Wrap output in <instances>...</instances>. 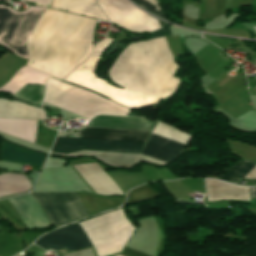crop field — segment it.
<instances>
[{
  "label": "crop field",
  "mask_w": 256,
  "mask_h": 256,
  "mask_svg": "<svg viewBox=\"0 0 256 256\" xmlns=\"http://www.w3.org/2000/svg\"><path fill=\"white\" fill-rule=\"evenodd\" d=\"M44 9L30 6L19 13L11 10L9 6L0 5V43L14 51L17 56L27 59V34H31Z\"/></svg>",
  "instance_id": "crop-field-7"
},
{
  "label": "crop field",
  "mask_w": 256,
  "mask_h": 256,
  "mask_svg": "<svg viewBox=\"0 0 256 256\" xmlns=\"http://www.w3.org/2000/svg\"><path fill=\"white\" fill-rule=\"evenodd\" d=\"M158 195H160V194H158L157 192L152 190L150 188V186L147 185V186L140 187V188L130 191L126 204L143 201V200L149 199L151 197H156Z\"/></svg>",
  "instance_id": "crop-field-20"
},
{
  "label": "crop field",
  "mask_w": 256,
  "mask_h": 256,
  "mask_svg": "<svg viewBox=\"0 0 256 256\" xmlns=\"http://www.w3.org/2000/svg\"><path fill=\"white\" fill-rule=\"evenodd\" d=\"M251 198H256V187H250Z\"/></svg>",
  "instance_id": "crop-field-24"
},
{
  "label": "crop field",
  "mask_w": 256,
  "mask_h": 256,
  "mask_svg": "<svg viewBox=\"0 0 256 256\" xmlns=\"http://www.w3.org/2000/svg\"><path fill=\"white\" fill-rule=\"evenodd\" d=\"M112 39L98 43L88 58L65 81L96 91L124 106L136 107L156 103L178 87V78L172 77L177 65L164 40L136 42L117 52L108 68V77L119 90L93 74L102 54Z\"/></svg>",
  "instance_id": "crop-field-1"
},
{
  "label": "crop field",
  "mask_w": 256,
  "mask_h": 256,
  "mask_svg": "<svg viewBox=\"0 0 256 256\" xmlns=\"http://www.w3.org/2000/svg\"><path fill=\"white\" fill-rule=\"evenodd\" d=\"M50 76L27 66L20 69L6 84L0 87V91L14 94L26 83L44 85Z\"/></svg>",
  "instance_id": "crop-field-14"
},
{
  "label": "crop field",
  "mask_w": 256,
  "mask_h": 256,
  "mask_svg": "<svg viewBox=\"0 0 256 256\" xmlns=\"http://www.w3.org/2000/svg\"><path fill=\"white\" fill-rule=\"evenodd\" d=\"M133 1L135 3H137L139 6H141V7L145 8V9L151 11L152 13H154V14H156V15L164 18V19H166L164 14H163V12L160 11L161 9H160L159 5L157 4L156 0H146V1H148L149 3L154 5L155 7L159 8L160 10L155 8L154 6H152L151 4L146 2L145 0H133Z\"/></svg>",
  "instance_id": "crop-field-21"
},
{
  "label": "crop field",
  "mask_w": 256,
  "mask_h": 256,
  "mask_svg": "<svg viewBox=\"0 0 256 256\" xmlns=\"http://www.w3.org/2000/svg\"><path fill=\"white\" fill-rule=\"evenodd\" d=\"M153 133L172 139L187 145L190 136L174 130L160 122H157ZM151 133L145 146L143 147L141 154L154 158L166 164L173 161L177 155L183 150L185 145L166 139ZM141 154L132 153H115V152H93V151H78L68 155L74 156H91L106 163L111 167H126L132 168L134 164L139 160L140 162H147L158 165H165L159 161L153 160Z\"/></svg>",
  "instance_id": "crop-field-3"
},
{
  "label": "crop field",
  "mask_w": 256,
  "mask_h": 256,
  "mask_svg": "<svg viewBox=\"0 0 256 256\" xmlns=\"http://www.w3.org/2000/svg\"><path fill=\"white\" fill-rule=\"evenodd\" d=\"M74 167L97 194H123L97 164L75 165Z\"/></svg>",
  "instance_id": "crop-field-11"
},
{
  "label": "crop field",
  "mask_w": 256,
  "mask_h": 256,
  "mask_svg": "<svg viewBox=\"0 0 256 256\" xmlns=\"http://www.w3.org/2000/svg\"><path fill=\"white\" fill-rule=\"evenodd\" d=\"M120 256H147V255H144L138 251H135V250L125 246V248L122 251V253L120 254Z\"/></svg>",
  "instance_id": "crop-field-22"
},
{
  "label": "crop field",
  "mask_w": 256,
  "mask_h": 256,
  "mask_svg": "<svg viewBox=\"0 0 256 256\" xmlns=\"http://www.w3.org/2000/svg\"><path fill=\"white\" fill-rule=\"evenodd\" d=\"M97 4L111 21L130 31L143 33L154 20L125 0H98Z\"/></svg>",
  "instance_id": "crop-field-8"
},
{
  "label": "crop field",
  "mask_w": 256,
  "mask_h": 256,
  "mask_svg": "<svg viewBox=\"0 0 256 256\" xmlns=\"http://www.w3.org/2000/svg\"><path fill=\"white\" fill-rule=\"evenodd\" d=\"M99 256L121 251L134 227L121 209L79 223Z\"/></svg>",
  "instance_id": "crop-field-6"
},
{
  "label": "crop field",
  "mask_w": 256,
  "mask_h": 256,
  "mask_svg": "<svg viewBox=\"0 0 256 256\" xmlns=\"http://www.w3.org/2000/svg\"><path fill=\"white\" fill-rule=\"evenodd\" d=\"M34 122L35 120L29 119L0 118V131L34 143L36 130Z\"/></svg>",
  "instance_id": "crop-field-15"
},
{
  "label": "crop field",
  "mask_w": 256,
  "mask_h": 256,
  "mask_svg": "<svg viewBox=\"0 0 256 256\" xmlns=\"http://www.w3.org/2000/svg\"><path fill=\"white\" fill-rule=\"evenodd\" d=\"M97 20L46 9L26 41L27 66L66 77L91 48Z\"/></svg>",
  "instance_id": "crop-field-2"
},
{
  "label": "crop field",
  "mask_w": 256,
  "mask_h": 256,
  "mask_svg": "<svg viewBox=\"0 0 256 256\" xmlns=\"http://www.w3.org/2000/svg\"><path fill=\"white\" fill-rule=\"evenodd\" d=\"M35 113V119H45L42 109L29 106L15 100L0 99V117L31 118ZM34 119V114L32 116Z\"/></svg>",
  "instance_id": "crop-field-16"
},
{
  "label": "crop field",
  "mask_w": 256,
  "mask_h": 256,
  "mask_svg": "<svg viewBox=\"0 0 256 256\" xmlns=\"http://www.w3.org/2000/svg\"><path fill=\"white\" fill-rule=\"evenodd\" d=\"M255 166L256 163L241 159L235 166L219 178L237 184L239 178H242ZM243 178L256 179V167Z\"/></svg>",
  "instance_id": "crop-field-18"
},
{
  "label": "crop field",
  "mask_w": 256,
  "mask_h": 256,
  "mask_svg": "<svg viewBox=\"0 0 256 256\" xmlns=\"http://www.w3.org/2000/svg\"><path fill=\"white\" fill-rule=\"evenodd\" d=\"M24 1H29V2H34L36 3V5H41L46 7L47 5H49L51 3V0H24Z\"/></svg>",
  "instance_id": "crop-field-23"
},
{
  "label": "crop field",
  "mask_w": 256,
  "mask_h": 256,
  "mask_svg": "<svg viewBox=\"0 0 256 256\" xmlns=\"http://www.w3.org/2000/svg\"><path fill=\"white\" fill-rule=\"evenodd\" d=\"M42 206L52 226H59L119 206L115 199L86 193H31Z\"/></svg>",
  "instance_id": "crop-field-5"
},
{
  "label": "crop field",
  "mask_w": 256,
  "mask_h": 256,
  "mask_svg": "<svg viewBox=\"0 0 256 256\" xmlns=\"http://www.w3.org/2000/svg\"><path fill=\"white\" fill-rule=\"evenodd\" d=\"M150 131L95 128L83 129V139L57 137L51 151L68 153L78 149L140 153Z\"/></svg>",
  "instance_id": "crop-field-4"
},
{
  "label": "crop field",
  "mask_w": 256,
  "mask_h": 256,
  "mask_svg": "<svg viewBox=\"0 0 256 256\" xmlns=\"http://www.w3.org/2000/svg\"><path fill=\"white\" fill-rule=\"evenodd\" d=\"M1 1V0H0Z\"/></svg>",
  "instance_id": "crop-field-25"
},
{
  "label": "crop field",
  "mask_w": 256,
  "mask_h": 256,
  "mask_svg": "<svg viewBox=\"0 0 256 256\" xmlns=\"http://www.w3.org/2000/svg\"><path fill=\"white\" fill-rule=\"evenodd\" d=\"M30 187L31 186L24 175H0V196L24 192Z\"/></svg>",
  "instance_id": "crop-field-17"
},
{
  "label": "crop field",
  "mask_w": 256,
  "mask_h": 256,
  "mask_svg": "<svg viewBox=\"0 0 256 256\" xmlns=\"http://www.w3.org/2000/svg\"><path fill=\"white\" fill-rule=\"evenodd\" d=\"M9 201L18 211L28 229L50 226L39 204L32 198L30 194L9 199Z\"/></svg>",
  "instance_id": "crop-field-10"
},
{
  "label": "crop field",
  "mask_w": 256,
  "mask_h": 256,
  "mask_svg": "<svg viewBox=\"0 0 256 256\" xmlns=\"http://www.w3.org/2000/svg\"><path fill=\"white\" fill-rule=\"evenodd\" d=\"M243 89H245L243 79L237 75L212 95L219 104Z\"/></svg>",
  "instance_id": "crop-field-19"
},
{
  "label": "crop field",
  "mask_w": 256,
  "mask_h": 256,
  "mask_svg": "<svg viewBox=\"0 0 256 256\" xmlns=\"http://www.w3.org/2000/svg\"><path fill=\"white\" fill-rule=\"evenodd\" d=\"M206 199L207 202L227 199L249 201V187H239L216 180H206Z\"/></svg>",
  "instance_id": "crop-field-12"
},
{
  "label": "crop field",
  "mask_w": 256,
  "mask_h": 256,
  "mask_svg": "<svg viewBox=\"0 0 256 256\" xmlns=\"http://www.w3.org/2000/svg\"><path fill=\"white\" fill-rule=\"evenodd\" d=\"M35 243L46 250L50 248L58 252L63 250L69 252L92 246L78 224L45 235Z\"/></svg>",
  "instance_id": "crop-field-9"
},
{
  "label": "crop field",
  "mask_w": 256,
  "mask_h": 256,
  "mask_svg": "<svg viewBox=\"0 0 256 256\" xmlns=\"http://www.w3.org/2000/svg\"><path fill=\"white\" fill-rule=\"evenodd\" d=\"M51 8L87 15L106 21L103 12L97 7L94 0H53Z\"/></svg>",
  "instance_id": "crop-field-13"
}]
</instances>
